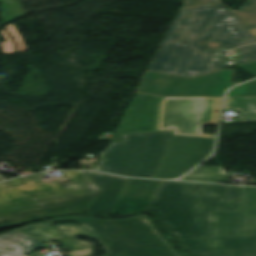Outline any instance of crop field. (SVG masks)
I'll list each match as a JSON object with an SVG mask.
<instances>
[{
  "label": "crop field",
  "instance_id": "crop-field-18",
  "mask_svg": "<svg viewBox=\"0 0 256 256\" xmlns=\"http://www.w3.org/2000/svg\"><path fill=\"white\" fill-rule=\"evenodd\" d=\"M227 96H256V80L229 90Z\"/></svg>",
  "mask_w": 256,
  "mask_h": 256
},
{
  "label": "crop field",
  "instance_id": "crop-field-3",
  "mask_svg": "<svg viewBox=\"0 0 256 256\" xmlns=\"http://www.w3.org/2000/svg\"><path fill=\"white\" fill-rule=\"evenodd\" d=\"M57 221L86 224L93 232L80 226H55ZM42 242L68 236L98 239L107 250L106 256H179L160 237L145 215L118 220H102L88 216L53 219L15 230Z\"/></svg>",
  "mask_w": 256,
  "mask_h": 256
},
{
  "label": "crop field",
  "instance_id": "crop-field-13",
  "mask_svg": "<svg viewBox=\"0 0 256 256\" xmlns=\"http://www.w3.org/2000/svg\"><path fill=\"white\" fill-rule=\"evenodd\" d=\"M44 243L17 233L15 231L0 235V248L19 254H27L41 246Z\"/></svg>",
  "mask_w": 256,
  "mask_h": 256
},
{
  "label": "crop field",
  "instance_id": "crop-field-9",
  "mask_svg": "<svg viewBox=\"0 0 256 256\" xmlns=\"http://www.w3.org/2000/svg\"><path fill=\"white\" fill-rule=\"evenodd\" d=\"M214 139L174 135L153 178L172 179L196 166L213 150Z\"/></svg>",
  "mask_w": 256,
  "mask_h": 256
},
{
  "label": "crop field",
  "instance_id": "crop-field-6",
  "mask_svg": "<svg viewBox=\"0 0 256 256\" xmlns=\"http://www.w3.org/2000/svg\"><path fill=\"white\" fill-rule=\"evenodd\" d=\"M172 132L124 135L123 143H110L95 170L152 178Z\"/></svg>",
  "mask_w": 256,
  "mask_h": 256
},
{
  "label": "crop field",
  "instance_id": "crop-field-10",
  "mask_svg": "<svg viewBox=\"0 0 256 256\" xmlns=\"http://www.w3.org/2000/svg\"><path fill=\"white\" fill-rule=\"evenodd\" d=\"M163 98L135 92L116 133L157 131L160 102Z\"/></svg>",
  "mask_w": 256,
  "mask_h": 256
},
{
  "label": "crop field",
  "instance_id": "crop-field-20",
  "mask_svg": "<svg viewBox=\"0 0 256 256\" xmlns=\"http://www.w3.org/2000/svg\"><path fill=\"white\" fill-rule=\"evenodd\" d=\"M221 4V0H185L181 9Z\"/></svg>",
  "mask_w": 256,
  "mask_h": 256
},
{
  "label": "crop field",
  "instance_id": "crop-field-1",
  "mask_svg": "<svg viewBox=\"0 0 256 256\" xmlns=\"http://www.w3.org/2000/svg\"><path fill=\"white\" fill-rule=\"evenodd\" d=\"M218 40L225 49L255 38L223 5L179 10L148 70L182 77L197 76L229 67L203 42Z\"/></svg>",
  "mask_w": 256,
  "mask_h": 256
},
{
  "label": "crop field",
  "instance_id": "crop-field-4",
  "mask_svg": "<svg viewBox=\"0 0 256 256\" xmlns=\"http://www.w3.org/2000/svg\"><path fill=\"white\" fill-rule=\"evenodd\" d=\"M76 186L36 185L27 177L0 183V222L11 223L58 213L87 211L101 190L78 171H62Z\"/></svg>",
  "mask_w": 256,
  "mask_h": 256
},
{
  "label": "crop field",
  "instance_id": "crop-field-21",
  "mask_svg": "<svg viewBox=\"0 0 256 256\" xmlns=\"http://www.w3.org/2000/svg\"><path fill=\"white\" fill-rule=\"evenodd\" d=\"M254 75H256V61L254 62H250V63H246L243 65L238 66Z\"/></svg>",
  "mask_w": 256,
  "mask_h": 256
},
{
  "label": "crop field",
  "instance_id": "crop-field-19",
  "mask_svg": "<svg viewBox=\"0 0 256 256\" xmlns=\"http://www.w3.org/2000/svg\"><path fill=\"white\" fill-rule=\"evenodd\" d=\"M242 58L236 59L238 65L256 60V44L248 45L237 49Z\"/></svg>",
  "mask_w": 256,
  "mask_h": 256
},
{
  "label": "crop field",
  "instance_id": "crop-field-22",
  "mask_svg": "<svg viewBox=\"0 0 256 256\" xmlns=\"http://www.w3.org/2000/svg\"><path fill=\"white\" fill-rule=\"evenodd\" d=\"M0 256H18V255L7 253V252H4V251H0Z\"/></svg>",
  "mask_w": 256,
  "mask_h": 256
},
{
  "label": "crop field",
  "instance_id": "crop-field-5",
  "mask_svg": "<svg viewBox=\"0 0 256 256\" xmlns=\"http://www.w3.org/2000/svg\"><path fill=\"white\" fill-rule=\"evenodd\" d=\"M179 241L196 256H256V187L241 186L237 212L215 211L213 238Z\"/></svg>",
  "mask_w": 256,
  "mask_h": 256
},
{
  "label": "crop field",
  "instance_id": "crop-field-14",
  "mask_svg": "<svg viewBox=\"0 0 256 256\" xmlns=\"http://www.w3.org/2000/svg\"><path fill=\"white\" fill-rule=\"evenodd\" d=\"M224 108L239 110V122L256 120V97H230L226 100Z\"/></svg>",
  "mask_w": 256,
  "mask_h": 256
},
{
  "label": "crop field",
  "instance_id": "crop-field-11",
  "mask_svg": "<svg viewBox=\"0 0 256 256\" xmlns=\"http://www.w3.org/2000/svg\"><path fill=\"white\" fill-rule=\"evenodd\" d=\"M163 181L128 179L111 213H129L148 209Z\"/></svg>",
  "mask_w": 256,
  "mask_h": 256
},
{
  "label": "crop field",
  "instance_id": "crop-field-2",
  "mask_svg": "<svg viewBox=\"0 0 256 256\" xmlns=\"http://www.w3.org/2000/svg\"><path fill=\"white\" fill-rule=\"evenodd\" d=\"M240 186L164 181L149 210L177 239L212 237L214 210L236 211Z\"/></svg>",
  "mask_w": 256,
  "mask_h": 256
},
{
  "label": "crop field",
  "instance_id": "crop-field-16",
  "mask_svg": "<svg viewBox=\"0 0 256 256\" xmlns=\"http://www.w3.org/2000/svg\"><path fill=\"white\" fill-rule=\"evenodd\" d=\"M231 12L248 30L256 27V0H246L236 12Z\"/></svg>",
  "mask_w": 256,
  "mask_h": 256
},
{
  "label": "crop field",
  "instance_id": "crop-field-15",
  "mask_svg": "<svg viewBox=\"0 0 256 256\" xmlns=\"http://www.w3.org/2000/svg\"><path fill=\"white\" fill-rule=\"evenodd\" d=\"M181 180L226 183L228 178L220 167L200 166Z\"/></svg>",
  "mask_w": 256,
  "mask_h": 256
},
{
  "label": "crop field",
  "instance_id": "crop-field-7",
  "mask_svg": "<svg viewBox=\"0 0 256 256\" xmlns=\"http://www.w3.org/2000/svg\"><path fill=\"white\" fill-rule=\"evenodd\" d=\"M222 99L165 98L161 102L158 130L174 129V134L214 138L215 135L201 134V125L217 124Z\"/></svg>",
  "mask_w": 256,
  "mask_h": 256
},
{
  "label": "crop field",
  "instance_id": "crop-field-12",
  "mask_svg": "<svg viewBox=\"0 0 256 256\" xmlns=\"http://www.w3.org/2000/svg\"><path fill=\"white\" fill-rule=\"evenodd\" d=\"M79 172H81L97 187L103 190L92 204V206L89 208L88 212L108 215L113 208L126 179L113 175L93 173L88 171Z\"/></svg>",
  "mask_w": 256,
  "mask_h": 256
},
{
  "label": "crop field",
  "instance_id": "crop-field-17",
  "mask_svg": "<svg viewBox=\"0 0 256 256\" xmlns=\"http://www.w3.org/2000/svg\"><path fill=\"white\" fill-rule=\"evenodd\" d=\"M57 243L66 245L71 251L67 253V256H93L94 252L92 243L81 242L76 238H61L54 240Z\"/></svg>",
  "mask_w": 256,
  "mask_h": 256
},
{
  "label": "crop field",
  "instance_id": "crop-field-8",
  "mask_svg": "<svg viewBox=\"0 0 256 256\" xmlns=\"http://www.w3.org/2000/svg\"><path fill=\"white\" fill-rule=\"evenodd\" d=\"M233 70H219L185 79L179 76L147 71L137 91L162 97L223 96Z\"/></svg>",
  "mask_w": 256,
  "mask_h": 256
}]
</instances>
